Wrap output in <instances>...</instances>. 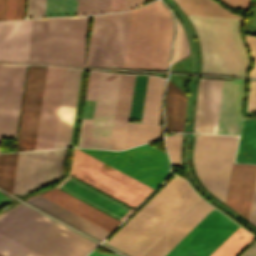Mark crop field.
<instances>
[{"label":"crop field","instance_id":"5d738f31","mask_svg":"<svg viewBox=\"0 0 256 256\" xmlns=\"http://www.w3.org/2000/svg\"><path fill=\"white\" fill-rule=\"evenodd\" d=\"M240 256H256V241Z\"/></svg>","mask_w":256,"mask_h":256},{"label":"crop field","instance_id":"c035e120","mask_svg":"<svg viewBox=\"0 0 256 256\" xmlns=\"http://www.w3.org/2000/svg\"><path fill=\"white\" fill-rule=\"evenodd\" d=\"M229 6L240 7V8H250L251 0H221Z\"/></svg>","mask_w":256,"mask_h":256},{"label":"crop field","instance_id":"028f5c9d","mask_svg":"<svg viewBox=\"0 0 256 256\" xmlns=\"http://www.w3.org/2000/svg\"><path fill=\"white\" fill-rule=\"evenodd\" d=\"M181 139L182 134L166 137L167 148L172 165L182 166L180 157Z\"/></svg>","mask_w":256,"mask_h":256},{"label":"crop field","instance_id":"c21b1889","mask_svg":"<svg viewBox=\"0 0 256 256\" xmlns=\"http://www.w3.org/2000/svg\"><path fill=\"white\" fill-rule=\"evenodd\" d=\"M177 3H185V4H200V5H214L219 6L212 0H175Z\"/></svg>","mask_w":256,"mask_h":256},{"label":"crop field","instance_id":"750c4746","mask_svg":"<svg viewBox=\"0 0 256 256\" xmlns=\"http://www.w3.org/2000/svg\"><path fill=\"white\" fill-rule=\"evenodd\" d=\"M124 5L125 0H111V7L110 0H105V6L104 0H78L77 14L103 11V6L104 12L99 13L109 12V7L110 12L119 11L124 10Z\"/></svg>","mask_w":256,"mask_h":256},{"label":"crop field","instance_id":"214f88e0","mask_svg":"<svg viewBox=\"0 0 256 256\" xmlns=\"http://www.w3.org/2000/svg\"><path fill=\"white\" fill-rule=\"evenodd\" d=\"M256 166L234 164L226 204L249 217Z\"/></svg>","mask_w":256,"mask_h":256},{"label":"crop field","instance_id":"733c2abd","mask_svg":"<svg viewBox=\"0 0 256 256\" xmlns=\"http://www.w3.org/2000/svg\"><path fill=\"white\" fill-rule=\"evenodd\" d=\"M211 207L200 198L142 256H165L213 209Z\"/></svg>","mask_w":256,"mask_h":256},{"label":"crop field","instance_id":"d23c7cc5","mask_svg":"<svg viewBox=\"0 0 256 256\" xmlns=\"http://www.w3.org/2000/svg\"><path fill=\"white\" fill-rule=\"evenodd\" d=\"M143 4V0H126L125 10Z\"/></svg>","mask_w":256,"mask_h":256},{"label":"crop field","instance_id":"bd1437ed","mask_svg":"<svg viewBox=\"0 0 256 256\" xmlns=\"http://www.w3.org/2000/svg\"><path fill=\"white\" fill-rule=\"evenodd\" d=\"M100 72L90 71L86 99L95 100ZM92 119L83 118L78 146L88 147Z\"/></svg>","mask_w":256,"mask_h":256},{"label":"crop field","instance_id":"ae1a2a85","mask_svg":"<svg viewBox=\"0 0 256 256\" xmlns=\"http://www.w3.org/2000/svg\"><path fill=\"white\" fill-rule=\"evenodd\" d=\"M240 236L242 238H240ZM254 237L238 228L212 255L210 256H235Z\"/></svg>","mask_w":256,"mask_h":256},{"label":"crop field","instance_id":"4a817a6b","mask_svg":"<svg viewBox=\"0 0 256 256\" xmlns=\"http://www.w3.org/2000/svg\"><path fill=\"white\" fill-rule=\"evenodd\" d=\"M32 20L0 23V60L28 62Z\"/></svg>","mask_w":256,"mask_h":256},{"label":"crop field","instance_id":"e52e79f7","mask_svg":"<svg viewBox=\"0 0 256 256\" xmlns=\"http://www.w3.org/2000/svg\"><path fill=\"white\" fill-rule=\"evenodd\" d=\"M222 80L200 79L195 131L216 134ZM245 80H223L217 134L237 135Z\"/></svg>","mask_w":256,"mask_h":256},{"label":"crop field","instance_id":"b54c1fbb","mask_svg":"<svg viewBox=\"0 0 256 256\" xmlns=\"http://www.w3.org/2000/svg\"><path fill=\"white\" fill-rule=\"evenodd\" d=\"M249 220H251L253 223L256 224V184H255V190H254Z\"/></svg>","mask_w":256,"mask_h":256},{"label":"crop field","instance_id":"5a996713","mask_svg":"<svg viewBox=\"0 0 256 256\" xmlns=\"http://www.w3.org/2000/svg\"><path fill=\"white\" fill-rule=\"evenodd\" d=\"M237 137L197 136L193 152L196 171L202 183L226 201Z\"/></svg>","mask_w":256,"mask_h":256},{"label":"crop field","instance_id":"03da06ac","mask_svg":"<svg viewBox=\"0 0 256 256\" xmlns=\"http://www.w3.org/2000/svg\"><path fill=\"white\" fill-rule=\"evenodd\" d=\"M249 110H256V82H252Z\"/></svg>","mask_w":256,"mask_h":256},{"label":"crop field","instance_id":"f4fd0767","mask_svg":"<svg viewBox=\"0 0 256 256\" xmlns=\"http://www.w3.org/2000/svg\"><path fill=\"white\" fill-rule=\"evenodd\" d=\"M187 16L201 43L202 72L246 76L249 59L239 37L244 18Z\"/></svg>","mask_w":256,"mask_h":256},{"label":"crop field","instance_id":"d8731c3e","mask_svg":"<svg viewBox=\"0 0 256 256\" xmlns=\"http://www.w3.org/2000/svg\"><path fill=\"white\" fill-rule=\"evenodd\" d=\"M70 175L133 208L154 190L76 148Z\"/></svg>","mask_w":256,"mask_h":256},{"label":"crop field","instance_id":"5866460e","mask_svg":"<svg viewBox=\"0 0 256 256\" xmlns=\"http://www.w3.org/2000/svg\"><path fill=\"white\" fill-rule=\"evenodd\" d=\"M181 8H190V9H206V10H222L228 11L223 7H214V6H199V5H185L179 4ZM190 9H183L185 14H195V15H215V16H235L241 17L231 12H222V11H206V10H190Z\"/></svg>","mask_w":256,"mask_h":256},{"label":"crop field","instance_id":"0bd39190","mask_svg":"<svg viewBox=\"0 0 256 256\" xmlns=\"http://www.w3.org/2000/svg\"><path fill=\"white\" fill-rule=\"evenodd\" d=\"M46 0H29V17L44 16Z\"/></svg>","mask_w":256,"mask_h":256},{"label":"crop field","instance_id":"5142ce71","mask_svg":"<svg viewBox=\"0 0 256 256\" xmlns=\"http://www.w3.org/2000/svg\"><path fill=\"white\" fill-rule=\"evenodd\" d=\"M119 77L101 72L89 147L109 149Z\"/></svg>","mask_w":256,"mask_h":256},{"label":"crop field","instance_id":"d3111659","mask_svg":"<svg viewBox=\"0 0 256 256\" xmlns=\"http://www.w3.org/2000/svg\"><path fill=\"white\" fill-rule=\"evenodd\" d=\"M17 156L18 153L0 155V187L10 192L13 190Z\"/></svg>","mask_w":256,"mask_h":256},{"label":"crop field","instance_id":"120bbe31","mask_svg":"<svg viewBox=\"0 0 256 256\" xmlns=\"http://www.w3.org/2000/svg\"><path fill=\"white\" fill-rule=\"evenodd\" d=\"M0 255L2 256H40L2 235H0Z\"/></svg>","mask_w":256,"mask_h":256},{"label":"crop field","instance_id":"730fd06b","mask_svg":"<svg viewBox=\"0 0 256 256\" xmlns=\"http://www.w3.org/2000/svg\"><path fill=\"white\" fill-rule=\"evenodd\" d=\"M236 162L256 163V120H243Z\"/></svg>","mask_w":256,"mask_h":256},{"label":"crop field","instance_id":"4177f3b9","mask_svg":"<svg viewBox=\"0 0 256 256\" xmlns=\"http://www.w3.org/2000/svg\"><path fill=\"white\" fill-rule=\"evenodd\" d=\"M165 80L149 76L141 123L158 124Z\"/></svg>","mask_w":256,"mask_h":256},{"label":"crop field","instance_id":"b80d0937","mask_svg":"<svg viewBox=\"0 0 256 256\" xmlns=\"http://www.w3.org/2000/svg\"><path fill=\"white\" fill-rule=\"evenodd\" d=\"M246 39L248 48L250 49V56L253 60V69L249 72V76L256 77V37L243 36Z\"/></svg>","mask_w":256,"mask_h":256},{"label":"crop field","instance_id":"89e229c0","mask_svg":"<svg viewBox=\"0 0 256 256\" xmlns=\"http://www.w3.org/2000/svg\"><path fill=\"white\" fill-rule=\"evenodd\" d=\"M0 68H1V65H0Z\"/></svg>","mask_w":256,"mask_h":256},{"label":"crop field","instance_id":"412701ff","mask_svg":"<svg viewBox=\"0 0 256 256\" xmlns=\"http://www.w3.org/2000/svg\"><path fill=\"white\" fill-rule=\"evenodd\" d=\"M172 35L171 13L159 1L134 10L123 67L166 69Z\"/></svg>","mask_w":256,"mask_h":256},{"label":"crop field","instance_id":"8a807250","mask_svg":"<svg viewBox=\"0 0 256 256\" xmlns=\"http://www.w3.org/2000/svg\"><path fill=\"white\" fill-rule=\"evenodd\" d=\"M199 198L175 176L108 242L131 256H141Z\"/></svg>","mask_w":256,"mask_h":256},{"label":"crop field","instance_id":"eef30255","mask_svg":"<svg viewBox=\"0 0 256 256\" xmlns=\"http://www.w3.org/2000/svg\"><path fill=\"white\" fill-rule=\"evenodd\" d=\"M161 127L128 123L125 148L158 139Z\"/></svg>","mask_w":256,"mask_h":256},{"label":"crop field","instance_id":"1d83c4d3","mask_svg":"<svg viewBox=\"0 0 256 256\" xmlns=\"http://www.w3.org/2000/svg\"><path fill=\"white\" fill-rule=\"evenodd\" d=\"M77 0H47L45 16L76 15Z\"/></svg>","mask_w":256,"mask_h":256},{"label":"crop field","instance_id":"dd49c442","mask_svg":"<svg viewBox=\"0 0 256 256\" xmlns=\"http://www.w3.org/2000/svg\"><path fill=\"white\" fill-rule=\"evenodd\" d=\"M88 17L33 20L29 62L84 66Z\"/></svg>","mask_w":256,"mask_h":256},{"label":"crop field","instance_id":"34b2d1b8","mask_svg":"<svg viewBox=\"0 0 256 256\" xmlns=\"http://www.w3.org/2000/svg\"><path fill=\"white\" fill-rule=\"evenodd\" d=\"M80 73L48 67L35 149L69 146Z\"/></svg>","mask_w":256,"mask_h":256},{"label":"crop field","instance_id":"a9b5d70f","mask_svg":"<svg viewBox=\"0 0 256 256\" xmlns=\"http://www.w3.org/2000/svg\"><path fill=\"white\" fill-rule=\"evenodd\" d=\"M186 94L168 83L165 100L166 130L183 131Z\"/></svg>","mask_w":256,"mask_h":256},{"label":"crop field","instance_id":"d1516ede","mask_svg":"<svg viewBox=\"0 0 256 256\" xmlns=\"http://www.w3.org/2000/svg\"><path fill=\"white\" fill-rule=\"evenodd\" d=\"M66 150L19 153L13 193L24 195L62 178Z\"/></svg>","mask_w":256,"mask_h":256},{"label":"crop field","instance_id":"3316defc","mask_svg":"<svg viewBox=\"0 0 256 256\" xmlns=\"http://www.w3.org/2000/svg\"><path fill=\"white\" fill-rule=\"evenodd\" d=\"M78 149L154 189L165 178L169 167L167 155L147 144L118 152Z\"/></svg>","mask_w":256,"mask_h":256},{"label":"crop field","instance_id":"e1f06a70","mask_svg":"<svg viewBox=\"0 0 256 256\" xmlns=\"http://www.w3.org/2000/svg\"><path fill=\"white\" fill-rule=\"evenodd\" d=\"M25 0H8L6 20L23 18Z\"/></svg>","mask_w":256,"mask_h":256},{"label":"crop field","instance_id":"73cf0c24","mask_svg":"<svg viewBox=\"0 0 256 256\" xmlns=\"http://www.w3.org/2000/svg\"><path fill=\"white\" fill-rule=\"evenodd\" d=\"M89 256H118V255L93 251Z\"/></svg>","mask_w":256,"mask_h":256},{"label":"crop field","instance_id":"425ffa30","mask_svg":"<svg viewBox=\"0 0 256 256\" xmlns=\"http://www.w3.org/2000/svg\"><path fill=\"white\" fill-rule=\"evenodd\" d=\"M7 0H0V20H5Z\"/></svg>","mask_w":256,"mask_h":256},{"label":"crop field","instance_id":"25e5ab78","mask_svg":"<svg viewBox=\"0 0 256 256\" xmlns=\"http://www.w3.org/2000/svg\"><path fill=\"white\" fill-rule=\"evenodd\" d=\"M11 202L4 194L0 193V207Z\"/></svg>","mask_w":256,"mask_h":256},{"label":"crop field","instance_id":"ac0d7876","mask_svg":"<svg viewBox=\"0 0 256 256\" xmlns=\"http://www.w3.org/2000/svg\"><path fill=\"white\" fill-rule=\"evenodd\" d=\"M0 234L42 256H86L98 245L22 204L0 215Z\"/></svg>","mask_w":256,"mask_h":256},{"label":"crop field","instance_id":"92a150f3","mask_svg":"<svg viewBox=\"0 0 256 256\" xmlns=\"http://www.w3.org/2000/svg\"><path fill=\"white\" fill-rule=\"evenodd\" d=\"M56 188L41 195L110 232L121 222Z\"/></svg>","mask_w":256,"mask_h":256},{"label":"crop field","instance_id":"22f410ed","mask_svg":"<svg viewBox=\"0 0 256 256\" xmlns=\"http://www.w3.org/2000/svg\"><path fill=\"white\" fill-rule=\"evenodd\" d=\"M238 227L213 209L166 256H209Z\"/></svg>","mask_w":256,"mask_h":256},{"label":"crop field","instance_id":"dafd665d","mask_svg":"<svg viewBox=\"0 0 256 256\" xmlns=\"http://www.w3.org/2000/svg\"><path fill=\"white\" fill-rule=\"evenodd\" d=\"M135 75L121 74L110 149H123Z\"/></svg>","mask_w":256,"mask_h":256},{"label":"crop field","instance_id":"00972430","mask_svg":"<svg viewBox=\"0 0 256 256\" xmlns=\"http://www.w3.org/2000/svg\"><path fill=\"white\" fill-rule=\"evenodd\" d=\"M27 202L101 240L110 233L40 195Z\"/></svg>","mask_w":256,"mask_h":256},{"label":"crop field","instance_id":"cbeb9de0","mask_svg":"<svg viewBox=\"0 0 256 256\" xmlns=\"http://www.w3.org/2000/svg\"><path fill=\"white\" fill-rule=\"evenodd\" d=\"M46 70L29 66L16 151L34 149Z\"/></svg>","mask_w":256,"mask_h":256},{"label":"crop field","instance_id":"bc2a9ffb","mask_svg":"<svg viewBox=\"0 0 256 256\" xmlns=\"http://www.w3.org/2000/svg\"><path fill=\"white\" fill-rule=\"evenodd\" d=\"M57 188L121 221L134 210L70 176Z\"/></svg>","mask_w":256,"mask_h":256},{"label":"crop field","instance_id":"d32e631a","mask_svg":"<svg viewBox=\"0 0 256 256\" xmlns=\"http://www.w3.org/2000/svg\"><path fill=\"white\" fill-rule=\"evenodd\" d=\"M188 54H189L188 41L185 37V34H184L178 20H177L176 37H175L172 63L188 56Z\"/></svg>","mask_w":256,"mask_h":256},{"label":"crop field","instance_id":"d9b57169","mask_svg":"<svg viewBox=\"0 0 256 256\" xmlns=\"http://www.w3.org/2000/svg\"><path fill=\"white\" fill-rule=\"evenodd\" d=\"M26 66L2 65L0 136L15 137Z\"/></svg>","mask_w":256,"mask_h":256},{"label":"crop field","instance_id":"28ad6ade","mask_svg":"<svg viewBox=\"0 0 256 256\" xmlns=\"http://www.w3.org/2000/svg\"><path fill=\"white\" fill-rule=\"evenodd\" d=\"M131 13L95 16L87 65L122 67Z\"/></svg>","mask_w":256,"mask_h":256}]
</instances>
